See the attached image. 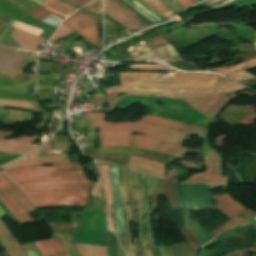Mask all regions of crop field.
I'll list each match as a JSON object with an SVG mask.
<instances>
[{"instance_id": "crop-field-34", "label": "crop field", "mask_w": 256, "mask_h": 256, "mask_svg": "<svg viewBox=\"0 0 256 256\" xmlns=\"http://www.w3.org/2000/svg\"><path fill=\"white\" fill-rule=\"evenodd\" d=\"M0 106L22 108V109H35L32 102L11 101V100H5V99H0Z\"/></svg>"}, {"instance_id": "crop-field-47", "label": "crop field", "mask_w": 256, "mask_h": 256, "mask_svg": "<svg viewBox=\"0 0 256 256\" xmlns=\"http://www.w3.org/2000/svg\"><path fill=\"white\" fill-rule=\"evenodd\" d=\"M104 26L108 27V28H109L111 31H113L115 34H116L117 32H119L118 29H117L113 24H111L109 21H107L106 19H104Z\"/></svg>"}, {"instance_id": "crop-field-62", "label": "crop field", "mask_w": 256, "mask_h": 256, "mask_svg": "<svg viewBox=\"0 0 256 256\" xmlns=\"http://www.w3.org/2000/svg\"><path fill=\"white\" fill-rule=\"evenodd\" d=\"M190 1H192L193 3H195V2H197V1H199V0H190Z\"/></svg>"}, {"instance_id": "crop-field-22", "label": "crop field", "mask_w": 256, "mask_h": 256, "mask_svg": "<svg viewBox=\"0 0 256 256\" xmlns=\"http://www.w3.org/2000/svg\"><path fill=\"white\" fill-rule=\"evenodd\" d=\"M139 121L153 123V124H159L162 126H166V127L202 135V136H205L206 131H207L206 129H202L199 127H195V126H191V125H187V124H183V123H179L176 121L163 119V118H159V117L149 116V115L145 116L144 118H142Z\"/></svg>"}, {"instance_id": "crop-field-16", "label": "crop field", "mask_w": 256, "mask_h": 256, "mask_svg": "<svg viewBox=\"0 0 256 256\" xmlns=\"http://www.w3.org/2000/svg\"><path fill=\"white\" fill-rule=\"evenodd\" d=\"M101 176L103 179V188L105 192V202H106V212H107V224L109 230L115 233V218H114V209H113V201H112V194L110 189V182H109V173L110 169L108 165L101 164L95 162Z\"/></svg>"}, {"instance_id": "crop-field-49", "label": "crop field", "mask_w": 256, "mask_h": 256, "mask_svg": "<svg viewBox=\"0 0 256 256\" xmlns=\"http://www.w3.org/2000/svg\"><path fill=\"white\" fill-rule=\"evenodd\" d=\"M126 12H128L130 15H132L134 18H136L143 26L147 25L145 24L138 16H136L134 13H132L130 10H128L126 7L123 6V8ZM135 19V20H136Z\"/></svg>"}, {"instance_id": "crop-field-43", "label": "crop field", "mask_w": 256, "mask_h": 256, "mask_svg": "<svg viewBox=\"0 0 256 256\" xmlns=\"http://www.w3.org/2000/svg\"><path fill=\"white\" fill-rule=\"evenodd\" d=\"M54 150H59V149H66V148H71L73 147V144L71 142H66V143H58V144H52Z\"/></svg>"}, {"instance_id": "crop-field-19", "label": "crop field", "mask_w": 256, "mask_h": 256, "mask_svg": "<svg viewBox=\"0 0 256 256\" xmlns=\"http://www.w3.org/2000/svg\"><path fill=\"white\" fill-rule=\"evenodd\" d=\"M183 59L172 44L162 46L129 60H161L165 62L177 61Z\"/></svg>"}, {"instance_id": "crop-field-3", "label": "crop field", "mask_w": 256, "mask_h": 256, "mask_svg": "<svg viewBox=\"0 0 256 256\" xmlns=\"http://www.w3.org/2000/svg\"><path fill=\"white\" fill-rule=\"evenodd\" d=\"M121 84L163 89L207 88L231 81L214 74H176L175 78H155V73H121Z\"/></svg>"}, {"instance_id": "crop-field-25", "label": "crop field", "mask_w": 256, "mask_h": 256, "mask_svg": "<svg viewBox=\"0 0 256 256\" xmlns=\"http://www.w3.org/2000/svg\"><path fill=\"white\" fill-rule=\"evenodd\" d=\"M35 81L0 78V91L30 93Z\"/></svg>"}, {"instance_id": "crop-field-48", "label": "crop field", "mask_w": 256, "mask_h": 256, "mask_svg": "<svg viewBox=\"0 0 256 256\" xmlns=\"http://www.w3.org/2000/svg\"><path fill=\"white\" fill-rule=\"evenodd\" d=\"M24 250L26 251L28 256H36L33 252V250L31 249V247L29 246V244L27 245H23Z\"/></svg>"}, {"instance_id": "crop-field-1", "label": "crop field", "mask_w": 256, "mask_h": 256, "mask_svg": "<svg viewBox=\"0 0 256 256\" xmlns=\"http://www.w3.org/2000/svg\"><path fill=\"white\" fill-rule=\"evenodd\" d=\"M2 173L35 208L85 206L89 198L90 183L80 164L23 168Z\"/></svg>"}, {"instance_id": "crop-field-18", "label": "crop field", "mask_w": 256, "mask_h": 256, "mask_svg": "<svg viewBox=\"0 0 256 256\" xmlns=\"http://www.w3.org/2000/svg\"><path fill=\"white\" fill-rule=\"evenodd\" d=\"M5 1H7L9 4L14 6L21 12H23L33 18H36L40 21H42L48 13L53 14L58 17H63L62 15H60L58 13H55V12L45 9L44 7H42L40 4H38L34 0H5ZM63 18H65V17H63Z\"/></svg>"}, {"instance_id": "crop-field-50", "label": "crop field", "mask_w": 256, "mask_h": 256, "mask_svg": "<svg viewBox=\"0 0 256 256\" xmlns=\"http://www.w3.org/2000/svg\"><path fill=\"white\" fill-rule=\"evenodd\" d=\"M60 1L66 3V4H68V5H70V6H72V7H74L75 9H78V8L82 7V6H80V5L76 4V3H74V2L71 1V0H60Z\"/></svg>"}, {"instance_id": "crop-field-52", "label": "crop field", "mask_w": 256, "mask_h": 256, "mask_svg": "<svg viewBox=\"0 0 256 256\" xmlns=\"http://www.w3.org/2000/svg\"><path fill=\"white\" fill-rule=\"evenodd\" d=\"M47 150H52L51 142H49L46 146L42 147L38 151H47Z\"/></svg>"}, {"instance_id": "crop-field-41", "label": "crop field", "mask_w": 256, "mask_h": 256, "mask_svg": "<svg viewBox=\"0 0 256 256\" xmlns=\"http://www.w3.org/2000/svg\"><path fill=\"white\" fill-rule=\"evenodd\" d=\"M217 1H219V0H207V1L203 2V4L209 6V5H211V4H213V3L217 2ZM231 1H233V0H222V1H219V2L211 5L210 7L216 9V8H218V7L222 6V5H225V4H227V3L231 2Z\"/></svg>"}, {"instance_id": "crop-field-15", "label": "crop field", "mask_w": 256, "mask_h": 256, "mask_svg": "<svg viewBox=\"0 0 256 256\" xmlns=\"http://www.w3.org/2000/svg\"><path fill=\"white\" fill-rule=\"evenodd\" d=\"M26 52L0 46V70L19 72Z\"/></svg>"}, {"instance_id": "crop-field-5", "label": "crop field", "mask_w": 256, "mask_h": 256, "mask_svg": "<svg viewBox=\"0 0 256 256\" xmlns=\"http://www.w3.org/2000/svg\"><path fill=\"white\" fill-rule=\"evenodd\" d=\"M86 154L95 160L110 163L112 165L126 167L130 155L148 158L164 164H170L177 158L158 154L141 148H125V147H101V148H85Z\"/></svg>"}, {"instance_id": "crop-field-54", "label": "crop field", "mask_w": 256, "mask_h": 256, "mask_svg": "<svg viewBox=\"0 0 256 256\" xmlns=\"http://www.w3.org/2000/svg\"><path fill=\"white\" fill-rule=\"evenodd\" d=\"M142 252L143 256H152L149 248L143 249Z\"/></svg>"}, {"instance_id": "crop-field-4", "label": "crop field", "mask_w": 256, "mask_h": 256, "mask_svg": "<svg viewBox=\"0 0 256 256\" xmlns=\"http://www.w3.org/2000/svg\"><path fill=\"white\" fill-rule=\"evenodd\" d=\"M221 186H224V191L228 189V185ZM221 186L175 183L178 203L186 226L201 246L210 241L213 237L199 223L194 225L188 209L212 208L209 198V189Z\"/></svg>"}, {"instance_id": "crop-field-13", "label": "crop field", "mask_w": 256, "mask_h": 256, "mask_svg": "<svg viewBox=\"0 0 256 256\" xmlns=\"http://www.w3.org/2000/svg\"><path fill=\"white\" fill-rule=\"evenodd\" d=\"M38 153L39 152H34L30 154V156L25 157L21 160H18L2 169L6 170V169H12V168H18V167L47 165V164H68L66 154L36 156Z\"/></svg>"}, {"instance_id": "crop-field-42", "label": "crop field", "mask_w": 256, "mask_h": 256, "mask_svg": "<svg viewBox=\"0 0 256 256\" xmlns=\"http://www.w3.org/2000/svg\"><path fill=\"white\" fill-rule=\"evenodd\" d=\"M95 132H96V129H89L86 132L87 137L90 138V140H91L92 147H94L96 145Z\"/></svg>"}, {"instance_id": "crop-field-55", "label": "crop field", "mask_w": 256, "mask_h": 256, "mask_svg": "<svg viewBox=\"0 0 256 256\" xmlns=\"http://www.w3.org/2000/svg\"><path fill=\"white\" fill-rule=\"evenodd\" d=\"M158 249L160 251L161 256H168L164 247Z\"/></svg>"}, {"instance_id": "crop-field-35", "label": "crop field", "mask_w": 256, "mask_h": 256, "mask_svg": "<svg viewBox=\"0 0 256 256\" xmlns=\"http://www.w3.org/2000/svg\"><path fill=\"white\" fill-rule=\"evenodd\" d=\"M128 68L132 69H140V70H147V71H168L171 70L169 67L160 65H130Z\"/></svg>"}, {"instance_id": "crop-field-59", "label": "crop field", "mask_w": 256, "mask_h": 256, "mask_svg": "<svg viewBox=\"0 0 256 256\" xmlns=\"http://www.w3.org/2000/svg\"><path fill=\"white\" fill-rule=\"evenodd\" d=\"M6 216V214L0 209V218Z\"/></svg>"}, {"instance_id": "crop-field-33", "label": "crop field", "mask_w": 256, "mask_h": 256, "mask_svg": "<svg viewBox=\"0 0 256 256\" xmlns=\"http://www.w3.org/2000/svg\"><path fill=\"white\" fill-rule=\"evenodd\" d=\"M42 5H44L45 7L51 9V10H55L63 15H65L66 13H68L70 10H72L71 7L57 1V0H47L45 3H43Z\"/></svg>"}, {"instance_id": "crop-field-28", "label": "crop field", "mask_w": 256, "mask_h": 256, "mask_svg": "<svg viewBox=\"0 0 256 256\" xmlns=\"http://www.w3.org/2000/svg\"><path fill=\"white\" fill-rule=\"evenodd\" d=\"M255 66H256V59L249 62L242 63L237 66H233V67H229V68H225V69H221L213 72L222 73L224 75L226 74L227 76L235 80H240V79L253 77L250 74H247L244 70H249Z\"/></svg>"}, {"instance_id": "crop-field-37", "label": "crop field", "mask_w": 256, "mask_h": 256, "mask_svg": "<svg viewBox=\"0 0 256 256\" xmlns=\"http://www.w3.org/2000/svg\"><path fill=\"white\" fill-rule=\"evenodd\" d=\"M72 32H74V31H72L70 28L61 24L59 29L57 30V32L54 34V36L51 39L56 42L59 39L67 36L68 34H70Z\"/></svg>"}, {"instance_id": "crop-field-32", "label": "crop field", "mask_w": 256, "mask_h": 256, "mask_svg": "<svg viewBox=\"0 0 256 256\" xmlns=\"http://www.w3.org/2000/svg\"><path fill=\"white\" fill-rule=\"evenodd\" d=\"M167 19L176 14L160 0H144Z\"/></svg>"}, {"instance_id": "crop-field-58", "label": "crop field", "mask_w": 256, "mask_h": 256, "mask_svg": "<svg viewBox=\"0 0 256 256\" xmlns=\"http://www.w3.org/2000/svg\"><path fill=\"white\" fill-rule=\"evenodd\" d=\"M214 242H216V241H215V239H214V240H212L210 243H208V244H206V245L202 246V247H204V248H205V247H207V246L211 245V244H212V243H214Z\"/></svg>"}, {"instance_id": "crop-field-26", "label": "crop field", "mask_w": 256, "mask_h": 256, "mask_svg": "<svg viewBox=\"0 0 256 256\" xmlns=\"http://www.w3.org/2000/svg\"><path fill=\"white\" fill-rule=\"evenodd\" d=\"M139 176H140V182H141L145 211H146V239L150 247L155 245L152 238V226L150 222L151 209H150V201H149V192L147 188L146 176L140 175V174Z\"/></svg>"}, {"instance_id": "crop-field-38", "label": "crop field", "mask_w": 256, "mask_h": 256, "mask_svg": "<svg viewBox=\"0 0 256 256\" xmlns=\"http://www.w3.org/2000/svg\"><path fill=\"white\" fill-rule=\"evenodd\" d=\"M11 26H14V27H17L19 29L25 30V31L30 32L32 34H35L37 36H39L40 33L42 32V30L35 29L31 26H28V25H25L23 23L16 22V21H13Z\"/></svg>"}, {"instance_id": "crop-field-6", "label": "crop field", "mask_w": 256, "mask_h": 256, "mask_svg": "<svg viewBox=\"0 0 256 256\" xmlns=\"http://www.w3.org/2000/svg\"><path fill=\"white\" fill-rule=\"evenodd\" d=\"M0 201L17 218L21 225L33 222L28 213L35 212L29 201L3 175L0 174Z\"/></svg>"}, {"instance_id": "crop-field-21", "label": "crop field", "mask_w": 256, "mask_h": 256, "mask_svg": "<svg viewBox=\"0 0 256 256\" xmlns=\"http://www.w3.org/2000/svg\"><path fill=\"white\" fill-rule=\"evenodd\" d=\"M132 182L134 186V193H135V199L137 204V211H138V231H139V240L141 244V248H147L146 239L144 236V210L141 200V192H140V183H139V177L138 174L132 173Z\"/></svg>"}, {"instance_id": "crop-field-12", "label": "crop field", "mask_w": 256, "mask_h": 256, "mask_svg": "<svg viewBox=\"0 0 256 256\" xmlns=\"http://www.w3.org/2000/svg\"><path fill=\"white\" fill-rule=\"evenodd\" d=\"M12 133L13 132L0 131V151L23 155L37 147V144H30L37 139V137H20L19 139L12 140L4 139Z\"/></svg>"}, {"instance_id": "crop-field-17", "label": "crop field", "mask_w": 256, "mask_h": 256, "mask_svg": "<svg viewBox=\"0 0 256 256\" xmlns=\"http://www.w3.org/2000/svg\"><path fill=\"white\" fill-rule=\"evenodd\" d=\"M110 168H111L110 181H111V187H112V191H113L114 209H115V214H116L117 235L120 239L121 246L123 247V249H125L124 226H123V219H122V215H121L119 190H118V186H117L118 168L112 167V166H110Z\"/></svg>"}, {"instance_id": "crop-field-46", "label": "crop field", "mask_w": 256, "mask_h": 256, "mask_svg": "<svg viewBox=\"0 0 256 256\" xmlns=\"http://www.w3.org/2000/svg\"><path fill=\"white\" fill-rule=\"evenodd\" d=\"M0 76L17 79V77L19 76V73H10V72L0 71Z\"/></svg>"}, {"instance_id": "crop-field-7", "label": "crop field", "mask_w": 256, "mask_h": 256, "mask_svg": "<svg viewBox=\"0 0 256 256\" xmlns=\"http://www.w3.org/2000/svg\"><path fill=\"white\" fill-rule=\"evenodd\" d=\"M243 87L232 83L228 85H223L219 87H213L201 90H150L142 89L130 86H115L109 88L106 93H133V94H145V95H161L174 98H190V97H200L210 94L223 93L236 89H241Z\"/></svg>"}, {"instance_id": "crop-field-51", "label": "crop field", "mask_w": 256, "mask_h": 256, "mask_svg": "<svg viewBox=\"0 0 256 256\" xmlns=\"http://www.w3.org/2000/svg\"><path fill=\"white\" fill-rule=\"evenodd\" d=\"M180 5H182L184 8L193 4L192 2H190L189 0H176Z\"/></svg>"}, {"instance_id": "crop-field-61", "label": "crop field", "mask_w": 256, "mask_h": 256, "mask_svg": "<svg viewBox=\"0 0 256 256\" xmlns=\"http://www.w3.org/2000/svg\"><path fill=\"white\" fill-rule=\"evenodd\" d=\"M38 2H40L41 4L46 1V0H37Z\"/></svg>"}, {"instance_id": "crop-field-2", "label": "crop field", "mask_w": 256, "mask_h": 256, "mask_svg": "<svg viewBox=\"0 0 256 256\" xmlns=\"http://www.w3.org/2000/svg\"><path fill=\"white\" fill-rule=\"evenodd\" d=\"M106 114L87 113L85 119L90 120L89 128H99L100 146H130L131 132L142 133L181 144L186 133L162 126L143 123H107Z\"/></svg>"}, {"instance_id": "crop-field-10", "label": "crop field", "mask_w": 256, "mask_h": 256, "mask_svg": "<svg viewBox=\"0 0 256 256\" xmlns=\"http://www.w3.org/2000/svg\"><path fill=\"white\" fill-rule=\"evenodd\" d=\"M62 23L71 27L83 37L91 41L94 45L99 47L97 21L83 14L74 13Z\"/></svg>"}, {"instance_id": "crop-field-24", "label": "crop field", "mask_w": 256, "mask_h": 256, "mask_svg": "<svg viewBox=\"0 0 256 256\" xmlns=\"http://www.w3.org/2000/svg\"><path fill=\"white\" fill-rule=\"evenodd\" d=\"M11 35L14 40L21 45L22 49L33 51H36L37 47L46 41L45 39H42L43 37L40 38L16 28Z\"/></svg>"}, {"instance_id": "crop-field-8", "label": "crop field", "mask_w": 256, "mask_h": 256, "mask_svg": "<svg viewBox=\"0 0 256 256\" xmlns=\"http://www.w3.org/2000/svg\"><path fill=\"white\" fill-rule=\"evenodd\" d=\"M202 155L205 157V164L207 165L206 171L201 174L193 175L185 182L210 184L227 182L226 176H220L222 158L210 146H203Z\"/></svg>"}, {"instance_id": "crop-field-45", "label": "crop field", "mask_w": 256, "mask_h": 256, "mask_svg": "<svg viewBox=\"0 0 256 256\" xmlns=\"http://www.w3.org/2000/svg\"><path fill=\"white\" fill-rule=\"evenodd\" d=\"M118 99L117 94H107V103L109 107L113 105V103Z\"/></svg>"}, {"instance_id": "crop-field-53", "label": "crop field", "mask_w": 256, "mask_h": 256, "mask_svg": "<svg viewBox=\"0 0 256 256\" xmlns=\"http://www.w3.org/2000/svg\"><path fill=\"white\" fill-rule=\"evenodd\" d=\"M73 1L83 6L88 2H90L91 0H73Z\"/></svg>"}, {"instance_id": "crop-field-27", "label": "crop field", "mask_w": 256, "mask_h": 256, "mask_svg": "<svg viewBox=\"0 0 256 256\" xmlns=\"http://www.w3.org/2000/svg\"><path fill=\"white\" fill-rule=\"evenodd\" d=\"M127 3L132 6L137 12H139L141 15L151 21L153 24L167 20L142 0H131Z\"/></svg>"}, {"instance_id": "crop-field-29", "label": "crop field", "mask_w": 256, "mask_h": 256, "mask_svg": "<svg viewBox=\"0 0 256 256\" xmlns=\"http://www.w3.org/2000/svg\"><path fill=\"white\" fill-rule=\"evenodd\" d=\"M42 256H68L57 238L35 243Z\"/></svg>"}, {"instance_id": "crop-field-60", "label": "crop field", "mask_w": 256, "mask_h": 256, "mask_svg": "<svg viewBox=\"0 0 256 256\" xmlns=\"http://www.w3.org/2000/svg\"><path fill=\"white\" fill-rule=\"evenodd\" d=\"M254 32V31H253ZM254 35H255V37H256V32H254ZM254 47H255V49H256V39H255V41L253 42V44H252Z\"/></svg>"}, {"instance_id": "crop-field-14", "label": "crop field", "mask_w": 256, "mask_h": 256, "mask_svg": "<svg viewBox=\"0 0 256 256\" xmlns=\"http://www.w3.org/2000/svg\"><path fill=\"white\" fill-rule=\"evenodd\" d=\"M127 170L166 179L164 164H160V163L139 158V157H133V156L130 157Z\"/></svg>"}, {"instance_id": "crop-field-23", "label": "crop field", "mask_w": 256, "mask_h": 256, "mask_svg": "<svg viewBox=\"0 0 256 256\" xmlns=\"http://www.w3.org/2000/svg\"><path fill=\"white\" fill-rule=\"evenodd\" d=\"M0 244L9 256H26L21 246L12 237L5 226L0 222Z\"/></svg>"}, {"instance_id": "crop-field-11", "label": "crop field", "mask_w": 256, "mask_h": 256, "mask_svg": "<svg viewBox=\"0 0 256 256\" xmlns=\"http://www.w3.org/2000/svg\"><path fill=\"white\" fill-rule=\"evenodd\" d=\"M224 94L184 100L188 101L195 109L203 112L205 115L212 118L231 99Z\"/></svg>"}, {"instance_id": "crop-field-36", "label": "crop field", "mask_w": 256, "mask_h": 256, "mask_svg": "<svg viewBox=\"0 0 256 256\" xmlns=\"http://www.w3.org/2000/svg\"><path fill=\"white\" fill-rule=\"evenodd\" d=\"M144 42L148 46L149 50L157 48V47L165 45V44H168L162 39L161 36L151 38L148 40H144Z\"/></svg>"}, {"instance_id": "crop-field-57", "label": "crop field", "mask_w": 256, "mask_h": 256, "mask_svg": "<svg viewBox=\"0 0 256 256\" xmlns=\"http://www.w3.org/2000/svg\"><path fill=\"white\" fill-rule=\"evenodd\" d=\"M94 108H97L96 94H94Z\"/></svg>"}, {"instance_id": "crop-field-39", "label": "crop field", "mask_w": 256, "mask_h": 256, "mask_svg": "<svg viewBox=\"0 0 256 256\" xmlns=\"http://www.w3.org/2000/svg\"><path fill=\"white\" fill-rule=\"evenodd\" d=\"M127 49L131 53L132 56L137 55V54H139L143 51L148 50L143 41H141V42H139V43L127 48Z\"/></svg>"}, {"instance_id": "crop-field-31", "label": "crop field", "mask_w": 256, "mask_h": 256, "mask_svg": "<svg viewBox=\"0 0 256 256\" xmlns=\"http://www.w3.org/2000/svg\"><path fill=\"white\" fill-rule=\"evenodd\" d=\"M112 18L119 24L127 27L130 32L135 31L138 28L142 27V25L137 20H135L132 16H130L123 10L115 14Z\"/></svg>"}, {"instance_id": "crop-field-30", "label": "crop field", "mask_w": 256, "mask_h": 256, "mask_svg": "<svg viewBox=\"0 0 256 256\" xmlns=\"http://www.w3.org/2000/svg\"><path fill=\"white\" fill-rule=\"evenodd\" d=\"M80 256H108L107 247L89 244H76Z\"/></svg>"}, {"instance_id": "crop-field-44", "label": "crop field", "mask_w": 256, "mask_h": 256, "mask_svg": "<svg viewBox=\"0 0 256 256\" xmlns=\"http://www.w3.org/2000/svg\"><path fill=\"white\" fill-rule=\"evenodd\" d=\"M78 11H80V12H82V13L88 15L89 17H91V18H93V19H95V20H97V21H98V19H99V16H98L97 14L93 13L92 11H90V10L84 8V7L81 8L80 10H78Z\"/></svg>"}, {"instance_id": "crop-field-63", "label": "crop field", "mask_w": 256, "mask_h": 256, "mask_svg": "<svg viewBox=\"0 0 256 256\" xmlns=\"http://www.w3.org/2000/svg\"><path fill=\"white\" fill-rule=\"evenodd\" d=\"M124 2L128 1V0H123Z\"/></svg>"}, {"instance_id": "crop-field-20", "label": "crop field", "mask_w": 256, "mask_h": 256, "mask_svg": "<svg viewBox=\"0 0 256 256\" xmlns=\"http://www.w3.org/2000/svg\"><path fill=\"white\" fill-rule=\"evenodd\" d=\"M118 182H119V190H120V194H121L122 214H123L124 225H125L127 251L135 250L133 243L131 241V234H130L129 205H128L127 193L125 190L124 170L120 169V168H119V173H118Z\"/></svg>"}, {"instance_id": "crop-field-56", "label": "crop field", "mask_w": 256, "mask_h": 256, "mask_svg": "<svg viewBox=\"0 0 256 256\" xmlns=\"http://www.w3.org/2000/svg\"><path fill=\"white\" fill-rule=\"evenodd\" d=\"M110 1L113 2L114 4L118 5V6L121 7V8H122V6H123V5H121L120 3H118V2L115 1V0H110Z\"/></svg>"}, {"instance_id": "crop-field-9", "label": "crop field", "mask_w": 256, "mask_h": 256, "mask_svg": "<svg viewBox=\"0 0 256 256\" xmlns=\"http://www.w3.org/2000/svg\"><path fill=\"white\" fill-rule=\"evenodd\" d=\"M132 147H141L158 153L174 156L180 159L182 158L185 149L165 140L138 134H133Z\"/></svg>"}, {"instance_id": "crop-field-40", "label": "crop field", "mask_w": 256, "mask_h": 256, "mask_svg": "<svg viewBox=\"0 0 256 256\" xmlns=\"http://www.w3.org/2000/svg\"><path fill=\"white\" fill-rule=\"evenodd\" d=\"M121 8L117 7L113 3H111L108 0H105L104 10L106 13H108L110 16L115 14L116 12L120 11ZM107 14V15H108Z\"/></svg>"}]
</instances>
